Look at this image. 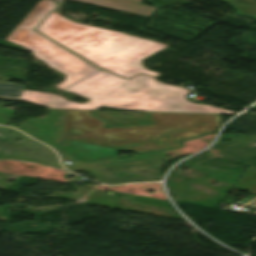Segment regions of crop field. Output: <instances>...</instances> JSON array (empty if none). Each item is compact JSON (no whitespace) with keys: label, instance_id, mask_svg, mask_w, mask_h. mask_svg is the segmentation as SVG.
<instances>
[{"label":"crop field","instance_id":"8a807250","mask_svg":"<svg viewBox=\"0 0 256 256\" xmlns=\"http://www.w3.org/2000/svg\"><path fill=\"white\" fill-rule=\"evenodd\" d=\"M58 4L42 0L6 41L31 50L33 56L65 74L66 81L56 87L74 92L90 101L80 104L66 101L65 98L55 94L26 89H23L20 101L32 102L50 109L96 110L101 106H107L150 112L236 113L190 103L185 95L191 91L179 86L162 84L155 81L154 77L138 75L128 81L122 79L92 66L36 32L34 29L48 35L85 59L127 78L139 72L161 76L145 69L141 61L169 47L168 45L69 21L52 11ZM77 81L78 84L67 88Z\"/></svg>","mask_w":256,"mask_h":256},{"label":"crop field","instance_id":"ac0d7876","mask_svg":"<svg viewBox=\"0 0 256 256\" xmlns=\"http://www.w3.org/2000/svg\"><path fill=\"white\" fill-rule=\"evenodd\" d=\"M153 125L102 128L90 111L64 110L61 143L87 160L117 155V149L138 154L182 147L183 140L214 133L219 115L152 113Z\"/></svg>","mask_w":256,"mask_h":256},{"label":"crop field","instance_id":"34b2d1b8","mask_svg":"<svg viewBox=\"0 0 256 256\" xmlns=\"http://www.w3.org/2000/svg\"><path fill=\"white\" fill-rule=\"evenodd\" d=\"M234 187L249 190L250 194L256 195V167L249 165Z\"/></svg>","mask_w":256,"mask_h":256},{"label":"crop field","instance_id":"412701ff","mask_svg":"<svg viewBox=\"0 0 256 256\" xmlns=\"http://www.w3.org/2000/svg\"><path fill=\"white\" fill-rule=\"evenodd\" d=\"M23 85L0 83V96L19 98Z\"/></svg>","mask_w":256,"mask_h":256},{"label":"crop field","instance_id":"f4fd0767","mask_svg":"<svg viewBox=\"0 0 256 256\" xmlns=\"http://www.w3.org/2000/svg\"><path fill=\"white\" fill-rule=\"evenodd\" d=\"M0 99L19 101V99H15V98L0 97Z\"/></svg>","mask_w":256,"mask_h":256},{"label":"crop field","instance_id":"dd49c442","mask_svg":"<svg viewBox=\"0 0 256 256\" xmlns=\"http://www.w3.org/2000/svg\"><path fill=\"white\" fill-rule=\"evenodd\" d=\"M53 1H57V2H60L61 0H53Z\"/></svg>","mask_w":256,"mask_h":256}]
</instances>
